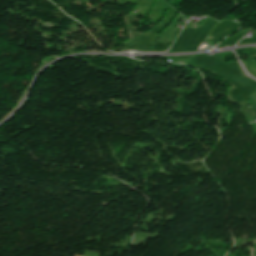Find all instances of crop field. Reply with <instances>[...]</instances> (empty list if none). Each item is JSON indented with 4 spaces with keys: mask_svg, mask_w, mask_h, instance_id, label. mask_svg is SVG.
Wrapping results in <instances>:
<instances>
[{
    "mask_svg": "<svg viewBox=\"0 0 256 256\" xmlns=\"http://www.w3.org/2000/svg\"><path fill=\"white\" fill-rule=\"evenodd\" d=\"M250 96L256 101V93L255 92L253 94H251Z\"/></svg>",
    "mask_w": 256,
    "mask_h": 256,
    "instance_id": "8a807250",
    "label": "crop field"
}]
</instances>
